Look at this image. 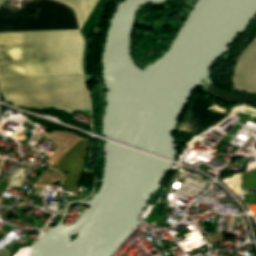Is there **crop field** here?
I'll return each mask as SVG.
<instances>
[{"label": "crop field", "instance_id": "1", "mask_svg": "<svg viewBox=\"0 0 256 256\" xmlns=\"http://www.w3.org/2000/svg\"><path fill=\"white\" fill-rule=\"evenodd\" d=\"M227 115L215 108L210 100L197 94L178 131L198 137L211 126L220 124Z\"/></svg>", "mask_w": 256, "mask_h": 256}, {"label": "crop field", "instance_id": "2", "mask_svg": "<svg viewBox=\"0 0 256 256\" xmlns=\"http://www.w3.org/2000/svg\"><path fill=\"white\" fill-rule=\"evenodd\" d=\"M233 82L238 90L256 94V40L240 58Z\"/></svg>", "mask_w": 256, "mask_h": 256}]
</instances>
